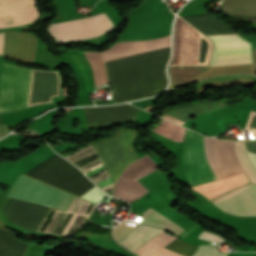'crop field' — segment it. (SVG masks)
Wrapping results in <instances>:
<instances>
[{
	"label": "crop field",
	"mask_w": 256,
	"mask_h": 256,
	"mask_svg": "<svg viewBox=\"0 0 256 256\" xmlns=\"http://www.w3.org/2000/svg\"><path fill=\"white\" fill-rule=\"evenodd\" d=\"M62 191L20 174L7 196L53 207ZM73 196L62 192L54 207L67 210Z\"/></svg>",
	"instance_id": "4"
},
{
	"label": "crop field",
	"mask_w": 256,
	"mask_h": 256,
	"mask_svg": "<svg viewBox=\"0 0 256 256\" xmlns=\"http://www.w3.org/2000/svg\"><path fill=\"white\" fill-rule=\"evenodd\" d=\"M214 42L210 66L252 63L251 44L238 35H206Z\"/></svg>",
	"instance_id": "6"
},
{
	"label": "crop field",
	"mask_w": 256,
	"mask_h": 256,
	"mask_svg": "<svg viewBox=\"0 0 256 256\" xmlns=\"http://www.w3.org/2000/svg\"><path fill=\"white\" fill-rule=\"evenodd\" d=\"M249 158L251 159L254 167L256 168V155H253V154H250V153H247Z\"/></svg>",
	"instance_id": "21"
},
{
	"label": "crop field",
	"mask_w": 256,
	"mask_h": 256,
	"mask_svg": "<svg viewBox=\"0 0 256 256\" xmlns=\"http://www.w3.org/2000/svg\"><path fill=\"white\" fill-rule=\"evenodd\" d=\"M170 37L118 42L101 54L103 62L169 47ZM169 48L104 63L114 101L155 95L164 89Z\"/></svg>",
	"instance_id": "1"
},
{
	"label": "crop field",
	"mask_w": 256,
	"mask_h": 256,
	"mask_svg": "<svg viewBox=\"0 0 256 256\" xmlns=\"http://www.w3.org/2000/svg\"><path fill=\"white\" fill-rule=\"evenodd\" d=\"M3 32L0 33V54L2 53Z\"/></svg>",
	"instance_id": "22"
},
{
	"label": "crop field",
	"mask_w": 256,
	"mask_h": 256,
	"mask_svg": "<svg viewBox=\"0 0 256 256\" xmlns=\"http://www.w3.org/2000/svg\"><path fill=\"white\" fill-rule=\"evenodd\" d=\"M212 203L231 215L256 216V184L236 190Z\"/></svg>",
	"instance_id": "9"
},
{
	"label": "crop field",
	"mask_w": 256,
	"mask_h": 256,
	"mask_svg": "<svg viewBox=\"0 0 256 256\" xmlns=\"http://www.w3.org/2000/svg\"><path fill=\"white\" fill-rule=\"evenodd\" d=\"M93 70L95 85L107 83L104 66L98 53L84 52Z\"/></svg>",
	"instance_id": "15"
},
{
	"label": "crop field",
	"mask_w": 256,
	"mask_h": 256,
	"mask_svg": "<svg viewBox=\"0 0 256 256\" xmlns=\"http://www.w3.org/2000/svg\"><path fill=\"white\" fill-rule=\"evenodd\" d=\"M37 17L33 0H0V28L28 24Z\"/></svg>",
	"instance_id": "8"
},
{
	"label": "crop field",
	"mask_w": 256,
	"mask_h": 256,
	"mask_svg": "<svg viewBox=\"0 0 256 256\" xmlns=\"http://www.w3.org/2000/svg\"><path fill=\"white\" fill-rule=\"evenodd\" d=\"M235 154L252 184L256 173L244 151L234 142ZM233 151V142L205 138V152L216 179L244 173ZM204 153V137L188 130L183 147V168L192 186L215 180Z\"/></svg>",
	"instance_id": "2"
},
{
	"label": "crop field",
	"mask_w": 256,
	"mask_h": 256,
	"mask_svg": "<svg viewBox=\"0 0 256 256\" xmlns=\"http://www.w3.org/2000/svg\"><path fill=\"white\" fill-rule=\"evenodd\" d=\"M161 231V229L140 224L118 242L120 245L133 252L147 241L152 239L154 236L159 234Z\"/></svg>",
	"instance_id": "12"
},
{
	"label": "crop field",
	"mask_w": 256,
	"mask_h": 256,
	"mask_svg": "<svg viewBox=\"0 0 256 256\" xmlns=\"http://www.w3.org/2000/svg\"><path fill=\"white\" fill-rule=\"evenodd\" d=\"M105 194H103L96 186L93 187L91 190L83 194L80 198L92 201L94 203L98 202L102 198H104Z\"/></svg>",
	"instance_id": "18"
},
{
	"label": "crop field",
	"mask_w": 256,
	"mask_h": 256,
	"mask_svg": "<svg viewBox=\"0 0 256 256\" xmlns=\"http://www.w3.org/2000/svg\"><path fill=\"white\" fill-rule=\"evenodd\" d=\"M82 109L86 116L88 128L134 120L138 111L127 104Z\"/></svg>",
	"instance_id": "10"
},
{
	"label": "crop field",
	"mask_w": 256,
	"mask_h": 256,
	"mask_svg": "<svg viewBox=\"0 0 256 256\" xmlns=\"http://www.w3.org/2000/svg\"><path fill=\"white\" fill-rule=\"evenodd\" d=\"M198 238H201V239H204V240H207V241H211V242H215L219 245L224 242L223 238H221L219 236L212 235V234L207 233L205 231H203Z\"/></svg>",
	"instance_id": "20"
},
{
	"label": "crop field",
	"mask_w": 256,
	"mask_h": 256,
	"mask_svg": "<svg viewBox=\"0 0 256 256\" xmlns=\"http://www.w3.org/2000/svg\"><path fill=\"white\" fill-rule=\"evenodd\" d=\"M247 185H251V182L244 173L222 180L213 181L207 184L195 186L192 188L202 193L212 202L231 191H234Z\"/></svg>",
	"instance_id": "11"
},
{
	"label": "crop field",
	"mask_w": 256,
	"mask_h": 256,
	"mask_svg": "<svg viewBox=\"0 0 256 256\" xmlns=\"http://www.w3.org/2000/svg\"><path fill=\"white\" fill-rule=\"evenodd\" d=\"M156 167L147 155L127 166L117 180L113 196L124 199L127 202L138 199L148 191L136 180L156 170Z\"/></svg>",
	"instance_id": "7"
},
{
	"label": "crop field",
	"mask_w": 256,
	"mask_h": 256,
	"mask_svg": "<svg viewBox=\"0 0 256 256\" xmlns=\"http://www.w3.org/2000/svg\"><path fill=\"white\" fill-rule=\"evenodd\" d=\"M126 223H121L118 227L114 228L113 235L116 241L121 239L124 235H126L129 231H131L134 227H136L133 225H128L129 223L128 224Z\"/></svg>",
	"instance_id": "19"
},
{
	"label": "crop field",
	"mask_w": 256,
	"mask_h": 256,
	"mask_svg": "<svg viewBox=\"0 0 256 256\" xmlns=\"http://www.w3.org/2000/svg\"><path fill=\"white\" fill-rule=\"evenodd\" d=\"M113 26L105 13H102L82 19L50 24L48 32L56 43H60L102 35Z\"/></svg>",
	"instance_id": "5"
},
{
	"label": "crop field",
	"mask_w": 256,
	"mask_h": 256,
	"mask_svg": "<svg viewBox=\"0 0 256 256\" xmlns=\"http://www.w3.org/2000/svg\"><path fill=\"white\" fill-rule=\"evenodd\" d=\"M165 248L170 249L172 251H175V252L180 253L185 256H190L191 254H193V252L196 248V245L184 243L181 240L176 238L171 243H169L167 246H165Z\"/></svg>",
	"instance_id": "16"
},
{
	"label": "crop field",
	"mask_w": 256,
	"mask_h": 256,
	"mask_svg": "<svg viewBox=\"0 0 256 256\" xmlns=\"http://www.w3.org/2000/svg\"><path fill=\"white\" fill-rule=\"evenodd\" d=\"M192 256H226L225 252H219L216 247L211 245H199Z\"/></svg>",
	"instance_id": "17"
},
{
	"label": "crop field",
	"mask_w": 256,
	"mask_h": 256,
	"mask_svg": "<svg viewBox=\"0 0 256 256\" xmlns=\"http://www.w3.org/2000/svg\"><path fill=\"white\" fill-rule=\"evenodd\" d=\"M141 216L143 217L139 221L140 223L167 229L177 235L185 231L151 207L144 211Z\"/></svg>",
	"instance_id": "13"
},
{
	"label": "crop field",
	"mask_w": 256,
	"mask_h": 256,
	"mask_svg": "<svg viewBox=\"0 0 256 256\" xmlns=\"http://www.w3.org/2000/svg\"><path fill=\"white\" fill-rule=\"evenodd\" d=\"M31 69L2 63L0 112L27 107Z\"/></svg>",
	"instance_id": "3"
},
{
	"label": "crop field",
	"mask_w": 256,
	"mask_h": 256,
	"mask_svg": "<svg viewBox=\"0 0 256 256\" xmlns=\"http://www.w3.org/2000/svg\"><path fill=\"white\" fill-rule=\"evenodd\" d=\"M185 130V128L163 119L161 124L152 131L174 141L180 142L182 141Z\"/></svg>",
	"instance_id": "14"
}]
</instances>
